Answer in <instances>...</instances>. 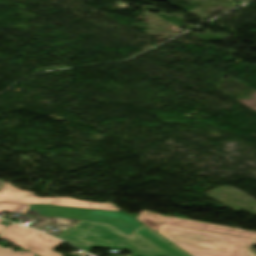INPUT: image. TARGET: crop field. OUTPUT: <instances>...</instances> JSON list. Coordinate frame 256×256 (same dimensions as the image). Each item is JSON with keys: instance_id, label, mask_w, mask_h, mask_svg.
Instances as JSON below:
<instances>
[{"instance_id": "obj_1", "label": "crop field", "mask_w": 256, "mask_h": 256, "mask_svg": "<svg viewBox=\"0 0 256 256\" xmlns=\"http://www.w3.org/2000/svg\"><path fill=\"white\" fill-rule=\"evenodd\" d=\"M28 226L59 228L58 237L86 250L92 247L127 249L133 256H191L127 213L31 205Z\"/></svg>"}, {"instance_id": "obj_2", "label": "crop field", "mask_w": 256, "mask_h": 256, "mask_svg": "<svg viewBox=\"0 0 256 256\" xmlns=\"http://www.w3.org/2000/svg\"><path fill=\"white\" fill-rule=\"evenodd\" d=\"M157 233L193 256H256L248 251L254 240L161 224Z\"/></svg>"}, {"instance_id": "obj_3", "label": "crop field", "mask_w": 256, "mask_h": 256, "mask_svg": "<svg viewBox=\"0 0 256 256\" xmlns=\"http://www.w3.org/2000/svg\"><path fill=\"white\" fill-rule=\"evenodd\" d=\"M30 191H24L13 187L11 184L4 182L0 190V202H13L21 204L46 203L68 207L99 209L119 211L112 203H95L90 201H81L74 198H40Z\"/></svg>"}, {"instance_id": "obj_4", "label": "crop field", "mask_w": 256, "mask_h": 256, "mask_svg": "<svg viewBox=\"0 0 256 256\" xmlns=\"http://www.w3.org/2000/svg\"><path fill=\"white\" fill-rule=\"evenodd\" d=\"M0 239L41 256H62L52 250L63 242L15 224L3 230Z\"/></svg>"}, {"instance_id": "obj_5", "label": "crop field", "mask_w": 256, "mask_h": 256, "mask_svg": "<svg viewBox=\"0 0 256 256\" xmlns=\"http://www.w3.org/2000/svg\"><path fill=\"white\" fill-rule=\"evenodd\" d=\"M162 223L256 240V232H249V231L236 229V228L182 220V219L171 218V217L164 218Z\"/></svg>"}, {"instance_id": "obj_6", "label": "crop field", "mask_w": 256, "mask_h": 256, "mask_svg": "<svg viewBox=\"0 0 256 256\" xmlns=\"http://www.w3.org/2000/svg\"><path fill=\"white\" fill-rule=\"evenodd\" d=\"M164 217L160 215H156L150 212L143 211L140 216L137 218L143 223H145L147 226L152 228L153 230L156 231V229L159 227L161 224L162 220Z\"/></svg>"}, {"instance_id": "obj_7", "label": "crop field", "mask_w": 256, "mask_h": 256, "mask_svg": "<svg viewBox=\"0 0 256 256\" xmlns=\"http://www.w3.org/2000/svg\"><path fill=\"white\" fill-rule=\"evenodd\" d=\"M30 205H17L0 203V211L15 212L19 214H24Z\"/></svg>"}, {"instance_id": "obj_8", "label": "crop field", "mask_w": 256, "mask_h": 256, "mask_svg": "<svg viewBox=\"0 0 256 256\" xmlns=\"http://www.w3.org/2000/svg\"><path fill=\"white\" fill-rule=\"evenodd\" d=\"M0 256H35L29 252H12V248H2L0 246Z\"/></svg>"}, {"instance_id": "obj_9", "label": "crop field", "mask_w": 256, "mask_h": 256, "mask_svg": "<svg viewBox=\"0 0 256 256\" xmlns=\"http://www.w3.org/2000/svg\"><path fill=\"white\" fill-rule=\"evenodd\" d=\"M6 226L0 225V231H2Z\"/></svg>"}, {"instance_id": "obj_10", "label": "crop field", "mask_w": 256, "mask_h": 256, "mask_svg": "<svg viewBox=\"0 0 256 256\" xmlns=\"http://www.w3.org/2000/svg\"><path fill=\"white\" fill-rule=\"evenodd\" d=\"M251 246V244H249L247 247H248V249H249V247Z\"/></svg>"}, {"instance_id": "obj_11", "label": "crop field", "mask_w": 256, "mask_h": 256, "mask_svg": "<svg viewBox=\"0 0 256 256\" xmlns=\"http://www.w3.org/2000/svg\"><path fill=\"white\" fill-rule=\"evenodd\" d=\"M2 185V182H0V186Z\"/></svg>"}, {"instance_id": "obj_12", "label": "crop field", "mask_w": 256, "mask_h": 256, "mask_svg": "<svg viewBox=\"0 0 256 256\" xmlns=\"http://www.w3.org/2000/svg\"><path fill=\"white\" fill-rule=\"evenodd\" d=\"M1 221H3V220H1ZM1 221H0V222H1Z\"/></svg>"}]
</instances>
